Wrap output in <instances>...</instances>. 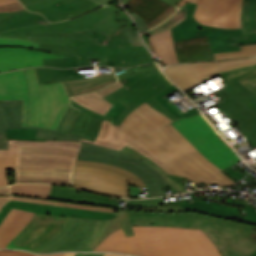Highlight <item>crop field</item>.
I'll return each mask as SVG.
<instances>
[{
	"mask_svg": "<svg viewBox=\"0 0 256 256\" xmlns=\"http://www.w3.org/2000/svg\"><path fill=\"white\" fill-rule=\"evenodd\" d=\"M17 148L9 145L8 150L0 149V186L9 185L6 169H15Z\"/></svg>",
	"mask_w": 256,
	"mask_h": 256,
	"instance_id": "obj_37",
	"label": "crop field"
},
{
	"mask_svg": "<svg viewBox=\"0 0 256 256\" xmlns=\"http://www.w3.org/2000/svg\"><path fill=\"white\" fill-rule=\"evenodd\" d=\"M52 185L15 184L11 187L12 194L37 198H49Z\"/></svg>",
	"mask_w": 256,
	"mask_h": 256,
	"instance_id": "obj_39",
	"label": "crop field"
},
{
	"mask_svg": "<svg viewBox=\"0 0 256 256\" xmlns=\"http://www.w3.org/2000/svg\"><path fill=\"white\" fill-rule=\"evenodd\" d=\"M0 99H23L21 126L53 129L70 105L62 82L39 85L34 68L0 74Z\"/></svg>",
	"mask_w": 256,
	"mask_h": 256,
	"instance_id": "obj_4",
	"label": "crop field"
},
{
	"mask_svg": "<svg viewBox=\"0 0 256 256\" xmlns=\"http://www.w3.org/2000/svg\"><path fill=\"white\" fill-rule=\"evenodd\" d=\"M216 92L224 100L216 105L239 126L251 145L256 147V94L237 80Z\"/></svg>",
	"mask_w": 256,
	"mask_h": 256,
	"instance_id": "obj_11",
	"label": "crop field"
},
{
	"mask_svg": "<svg viewBox=\"0 0 256 256\" xmlns=\"http://www.w3.org/2000/svg\"><path fill=\"white\" fill-rule=\"evenodd\" d=\"M0 256H34V255L26 252H22V251L0 250Z\"/></svg>",
	"mask_w": 256,
	"mask_h": 256,
	"instance_id": "obj_55",
	"label": "crop field"
},
{
	"mask_svg": "<svg viewBox=\"0 0 256 256\" xmlns=\"http://www.w3.org/2000/svg\"><path fill=\"white\" fill-rule=\"evenodd\" d=\"M18 208L34 213L47 214V215H56V216H75L83 218H95V219H110L115 216L113 213L91 211L63 206H55L41 203H33L26 201H16L9 200L8 203L0 211V223L9 212L10 208Z\"/></svg>",
	"mask_w": 256,
	"mask_h": 256,
	"instance_id": "obj_18",
	"label": "crop field"
},
{
	"mask_svg": "<svg viewBox=\"0 0 256 256\" xmlns=\"http://www.w3.org/2000/svg\"><path fill=\"white\" fill-rule=\"evenodd\" d=\"M77 159L114 164L133 172L147 185L151 197L166 195L162 188L170 187L165 177L157 173L144 160H137L121 152L83 142Z\"/></svg>",
	"mask_w": 256,
	"mask_h": 256,
	"instance_id": "obj_12",
	"label": "crop field"
},
{
	"mask_svg": "<svg viewBox=\"0 0 256 256\" xmlns=\"http://www.w3.org/2000/svg\"><path fill=\"white\" fill-rule=\"evenodd\" d=\"M120 81L125 86L104 97L113 104L119 101L128 106L118 117L117 126L121 124L133 109L141 105L144 101L166 114L169 118L175 120V118L153 97L165 88L173 85L159 68L142 72ZM154 86H156V88H154Z\"/></svg>",
	"mask_w": 256,
	"mask_h": 256,
	"instance_id": "obj_8",
	"label": "crop field"
},
{
	"mask_svg": "<svg viewBox=\"0 0 256 256\" xmlns=\"http://www.w3.org/2000/svg\"><path fill=\"white\" fill-rule=\"evenodd\" d=\"M121 151L129 154L132 157H135V158H138V159H144L157 172H159L161 175H164L166 177L167 182L171 185L172 188H174L179 193L185 192L184 189L180 186V184H178L177 182H175L172 179H170L169 177H167L166 175H168V174L163 169H161L158 165H156L154 162H152L150 159L140 155L139 153L133 151L132 149H130V148L126 147V146Z\"/></svg>",
	"mask_w": 256,
	"mask_h": 256,
	"instance_id": "obj_42",
	"label": "crop field"
},
{
	"mask_svg": "<svg viewBox=\"0 0 256 256\" xmlns=\"http://www.w3.org/2000/svg\"><path fill=\"white\" fill-rule=\"evenodd\" d=\"M167 116L147 103L132 111L115 128L128 134L162 160L175 175L187 177L195 184H235L208 161L169 122Z\"/></svg>",
	"mask_w": 256,
	"mask_h": 256,
	"instance_id": "obj_2",
	"label": "crop field"
},
{
	"mask_svg": "<svg viewBox=\"0 0 256 256\" xmlns=\"http://www.w3.org/2000/svg\"><path fill=\"white\" fill-rule=\"evenodd\" d=\"M171 124L221 170L240 161L200 113L181 118Z\"/></svg>",
	"mask_w": 256,
	"mask_h": 256,
	"instance_id": "obj_9",
	"label": "crop field"
},
{
	"mask_svg": "<svg viewBox=\"0 0 256 256\" xmlns=\"http://www.w3.org/2000/svg\"><path fill=\"white\" fill-rule=\"evenodd\" d=\"M113 81H116V76L111 75L107 77L100 78H90V79H79L74 81L63 82L68 95L73 96L80 93L88 92L95 90L99 87H102L106 84H109Z\"/></svg>",
	"mask_w": 256,
	"mask_h": 256,
	"instance_id": "obj_34",
	"label": "crop field"
},
{
	"mask_svg": "<svg viewBox=\"0 0 256 256\" xmlns=\"http://www.w3.org/2000/svg\"><path fill=\"white\" fill-rule=\"evenodd\" d=\"M94 1H97L103 5H108L112 0H94Z\"/></svg>",
	"mask_w": 256,
	"mask_h": 256,
	"instance_id": "obj_64",
	"label": "crop field"
},
{
	"mask_svg": "<svg viewBox=\"0 0 256 256\" xmlns=\"http://www.w3.org/2000/svg\"><path fill=\"white\" fill-rule=\"evenodd\" d=\"M133 17L135 18V21H136V24L140 30V32H144V31H147V28H146V24L144 22L143 19H141L140 17H138L136 14H132Z\"/></svg>",
	"mask_w": 256,
	"mask_h": 256,
	"instance_id": "obj_56",
	"label": "crop field"
},
{
	"mask_svg": "<svg viewBox=\"0 0 256 256\" xmlns=\"http://www.w3.org/2000/svg\"><path fill=\"white\" fill-rule=\"evenodd\" d=\"M101 123V118L86 114L81 111L70 133L81 135L84 136L85 139L94 141L99 132Z\"/></svg>",
	"mask_w": 256,
	"mask_h": 256,
	"instance_id": "obj_33",
	"label": "crop field"
},
{
	"mask_svg": "<svg viewBox=\"0 0 256 256\" xmlns=\"http://www.w3.org/2000/svg\"><path fill=\"white\" fill-rule=\"evenodd\" d=\"M128 210H142L153 212H181L186 211L181 206H162V198L147 200H130L126 205Z\"/></svg>",
	"mask_w": 256,
	"mask_h": 256,
	"instance_id": "obj_35",
	"label": "crop field"
},
{
	"mask_svg": "<svg viewBox=\"0 0 256 256\" xmlns=\"http://www.w3.org/2000/svg\"><path fill=\"white\" fill-rule=\"evenodd\" d=\"M10 194L9 187L0 188V195Z\"/></svg>",
	"mask_w": 256,
	"mask_h": 256,
	"instance_id": "obj_61",
	"label": "crop field"
},
{
	"mask_svg": "<svg viewBox=\"0 0 256 256\" xmlns=\"http://www.w3.org/2000/svg\"><path fill=\"white\" fill-rule=\"evenodd\" d=\"M122 86L124 85L120 81H118L110 86H107L99 90L86 93L80 96H76L70 99L76 101L80 105L90 110H93L99 114L104 115L111 108L113 104L105 100L103 97L117 90Z\"/></svg>",
	"mask_w": 256,
	"mask_h": 256,
	"instance_id": "obj_26",
	"label": "crop field"
},
{
	"mask_svg": "<svg viewBox=\"0 0 256 256\" xmlns=\"http://www.w3.org/2000/svg\"><path fill=\"white\" fill-rule=\"evenodd\" d=\"M62 57L47 52L19 47H0V72L43 66L42 58Z\"/></svg>",
	"mask_w": 256,
	"mask_h": 256,
	"instance_id": "obj_21",
	"label": "crop field"
},
{
	"mask_svg": "<svg viewBox=\"0 0 256 256\" xmlns=\"http://www.w3.org/2000/svg\"><path fill=\"white\" fill-rule=\"evenodd\" d=\"M33 215V213L12 208L0 225V248H5L9 241L24 228Z\"/></svg>",
	"mask_w": 256,
	"mask_h": 256,
	"instance_id": "obj_25",
	"label": "crop field"
},
{
	"mask_svg": "<svg viewBox=\"0 0 256 256\" xmlns=\"http://www.w3.org/2000/svg\"><path fill=\"white\" fill-rule=\"evenodd\" d=\"M7 147H8V142H7V139L5 138V135H0V148L7 149Z\"/></svg>",
	"mask_w": 256,
	"mask_h": 256,
	"instance_id": "obj_58",
	"label": "crop field"
},
{
	"mask_svg": "<svg viewBox=\"0 0 256 256\" xmlns=\"http://www.w3.org/2000/svg\"><path fill=\"white\" fill-rule=\"evenodd\" d=\"M22 100H0V134H5V128H37L36 137L46 139L80 140L81 136L59 133L55 130L39 127H21Z\"/></svg>",
	"mask_w": 256,
	"mask_h": 256,
	"instance_id": "obj_20",
	"label": "crop field"
},
{
	"mask_svg": "<svg viewBox=\"0 0 256 256\" xmlns=\"http://www.w3.org/2000/svg\"><path fill=\"white\" fill-rule=\"evenodd\" d=\"M177 9L174 7H170L167 11L162 13L160 16H158L155 20L147 24L148 29L160 24L161 22L165 21L171 14H173Z\"/></svg>",
	"mask_w": 256,
	"mask_h": 256,
	"instance_id": "obj_53",
	"label": "crop field"
},
{
	"mask_svg": "<svg viewBox=\"0 0 256 256\" xmlns=\"http://www.w3.org/2000/svg\"><path fill=\"white\" fill-rule=\"evenodd\" d=\"M35 69H36V73H37L40 84L85 78L83 73H79V70L77 68L53 69V68H47V67H38ZM111 74H114L113 70L111 71V73L99 74L96 77L107 76Z\"/></svg>",
	"mask_w": 256,
	"mask_h": 256,
	"instance_id": "obj_29",
	"label": "crop field"
},
{
	"mask_svg": "<svg viewBox=\"0 0 256 256\" xmlns=\"http://www.w3.org/2000/svg\"><path fill=\"white\" fill-rule=\"evenodd\" d=\"M185 18H186V6L180 8L170 19L166 20L158 27L148 31V33L151 36L160 32L167 31L173 28L178 23H180Z\"/></svg>",
	"mask_w": 256,
	"mask_h": 256,
	"instance_id": "obj_41",
	"label": "crop field"
},
{
	"mask_svg": "<svg viewBox=\"0 0 256 256\" xmlns=\"http://www.w3.org/2000/svg\"><path fill=\"white\" fill-rule=\"evenodd\" d=\"M127 106L117 102L112 106V108L105 114L111 118V121L116 124L117 117Z\"/></svg>",
	"mask_w": 256,
	"mask_h": 256,
	"instance_id": "obj_52",
	"label": "crop field"
},
{
	"mask_svg": "<svg viewBox=\"0 0 256 256\" xmlns=\"http://www.w3.org/2000/svg\"><path fill=\"white\" fill-rule=\"evenodd\" d=\"M101 5L90 0H45L25 7L41 12L49 21L68 19Z\"/></svg>",
	"mask_w": 256,
	"mask_h": 256,
	"instance_id": "obj_17",
	"label": "crop field"
},
{
	"mask_svg": "<svg viewBox=\"0 0 256 256\" xmlns=\"http://www.w3.org/2000/svg\"><path fill=\"white\" fill-rule=\"evenodd\" d=\"M38 45L39 43L28 40L0 37V46H19L37 50Z\"/></svg>",
	"mask_w": 256,
	"mask_h": 256,
	"instance_id": "obj_47",
	"label": "crop field"
},
{
	"mask_svg": "<svg viewBox=\"0 0 256 256\" xmlns=\"http://www.w3.org/2000/svg\"><path fill=\"white\" fill-rule=\"evenodd\" d=\"M242 211H245V213H243ZM241 215H242V219L233 220V221L256 226V208L248 204L246 208L242 207Z\"/></svg>",
	"mask_w": 256,
	"mask_h": 256,
	"instance_id": "obj_49",
	"label": "crop field"
},
{
	"mask_svg": "<svg viewBox=\"0 0 256 256\" xmlns=\"http://www.w3.org/2000/svg\"><path fill=\"white\" fill-rule=\"evenodd\" d=\"M19 145L16 183H57L70 185L82 142L47 140L46 142L8 139Z\"/></svg>",
	"mask_w": 256,
	"mask_h": 256,
	"instance_id": "obj_6",
	"label": "crop field"
},
{
	"mask_svg": "<svg viewBox=\"0 0 256 256\" xmlns=\"http://www.w3.org/2000/svg\"><path fill=\"white\" fill-rule=\"evenodd\" d=\"M251 63H256V57L220 62L179 64L168 66L165 71L183 90H186L206 81L203 78L219 71Z\"/></svg>",
	"mask_w": 256,
	"mask_h": 256,
	"instance_id": "obj_14",
	"label": "crop field"
},
{
	"mask_svg": "<svg viewBox=\"0 0 256 256\" xmlns=\"http://www.w3.org/2000/svg\"><path fill=\"white\" fill-rule=\"evenodd\" d=\"M123 1V4L125 5L129 0H122ZM169 4H171L172 6L175 7V4L179 1V0H163Z\"/></svg>",
	"mask_w": 256,
	"mask_h": 256,
	"instance_id": "obj_59",
	"label": "crop field"
},
{
	"mask_svg": "<svg viewBox=\"0 0 256 256\" xmlns=\"http://www.w3.org/2000/svg\"><path fill=\"white\" fill-rule=\"evenodd\" d=\"M97 220L71 217L64 230L47 243L38 253L62 250H83L87 245Z\"/></svg>",
	"mask_w": 256,
	"mask_h": 256,
	"instance_id": "obj_16",
	"label": "crop field"
},
{
	"mask_svg": "<svg viewBox=\"0 0 256 256\" xmlns=\"http://www.w3.org/2000/svg\"><path fill=\"white\" fill-rule=\"evenodd\" d=\"M73 106H75L74 104H72ZM76 107V106H75ZM78 108V107H77ZM88 113V112H87ZM89 114H91V113H89ZM92 115H94V114H92ZM95 116H97V115H95ZM99 117V116H98ZM102 118V117H101ZM105 119V118H104ZM106 120H109V119H106ZM110 121V120H109Z\"/></svg>",
	"mask_w": 256,
	"mask_h": 256,
	"instance_id": "obj_70",
	"label": "crop field"
},
{
	"mask_svg": "<svg viewBox=\"0 0 256 256\" xmlns=\"http://www.w3.org/2000/svg\"><path fill=\"white\" fill-rule=\"evenodd\" d=\"M111 254H106V255H104V256H110Z\"/></svg>",
	"mask_w": 256,
	"mask_h": 256,
	"instance_id": "obj_71",
	"label": "crop field"
},
{
	"mask_svg": "<svg viewBox=\"0 0 256 256\" xmlns=\"http://www.w3.org/2000/svg\"><path fill=\"white\" fill-rule=\"evenodd\" d=\"M132 225L176 226L203 230L222 256H250L256 251V227L198 212L152 213L129 211Z\"/></svg>",
	"mask_w": 256,
	"mask_h": 256,
	"instance_id": "obj_5",
	"label": "crop field"
},
{
	"mask_svg": "<svg viewBox=\"0 0 256 256\" xmlns=\"http://www.w3.org/2000/svg\"><path fill=\"white\" fill-rule=\"evenodd\" d=\"M214 55H215L216 60L256 56V44L248 45V46H241V51L216 53Z\"/></svg>",
	"mask_w": 256,
	"mask_h": 256,
	"instance_id": "obj_43",
	"label": "crop field"
},
{
	"mask_svg": "<svg viewBox=\"0 0 256 256\" xmlns=\"http://www.w3.org/2000/svg\"><path fill=\"white\" fill-rule=\"evenodd\" d=\"M149 39L152 47L164 64L170 65L178 63L170 30L151 36Z\"/></svg>",
	"mask_w": 256,
	"mask_h": 256,
	"instance_id": "obj_32",
	"label": "crop field"
},
{
	"mask_svg": "<svg viewBox=\"0 0 256 256\" xmlns=\"http://www.w3.org/2000/svg\"><path fill=\"white\" fill-rule=\"evenodd\" d=\"M25 9L20 2L0 5V11H13V10H21Z\"/></svg>",
	"mask_w": 256,
	"mask_h": 256,
	"instance_id": "obj_54",
	"label": "crop field"
},
{
	"mask_svg": "<svg viewBox=\"0 0 256 256\" xmlns=\"http://www.w3.org/2000/svg\"><path fill=\"white\" fill-rule=\"evenodd\" d=\"M191 196L194 198L196 202H192L190 204L183 205L182 207L188 211H198L208 215L233 220L239 219L240 216V209L241 207H229L224 206L222 204L216 202H209L207 204H202L192 193Z\"/></svg>",
	"mask_w": 256,
	"mask_h": 256,
	"instance_id": "obj_27",
	"label": "crop field"
},
{
	"mask_svg": "<svg viewBox=\"0 0 256 256\" xmlns=\"http://www.w3.org/2000/svg\"><path fill=\"white\" fill-rule=\"evenodd\" d=\"M18 0H0V4L17 2Z\"/></svg>",
	"mask_w": 256,
	"mask_h": 256,
	"instance_id": "obj_66",
	"label": "crop field"
},
{
	"mask_svg": "<svg viewBox=\"0 0 256 256\" xmlns=\"http://www.w3.org/2000/svg\"><path fill=\"white\" fill-rule=\"evenodd\" d=\"M38 49L48 51V52L58 53V54L74 55V56H78V51H79V47L45 45V44H40Z\"/></svg>",
	"mask_w": 256,
	"mask_h": 256,
	"instance_id": "obj_46",
	"label": "crop field"
},
{
	"mask_svg": "<svg viewBox=\"0 0 256 256\" xmlns=\"http://www.w3.org/2000/svg\"><path fill=\"white\" fill-rule=\"evenodd\" d=\"M111 256H126V255L112 254Z\"/></svg>",
	"mask_w": 256,
	"mask_h": 256,
	"instance_id": "obj_69",
	"label": "crop field"
},
{
	"mask_svg": "<svg viewBox=\"0 0 256 256\" xmlns=\"http://www.w3.org/2000/svg\"><path fill=\"white\" fill-rule=\"evenodd\" d=\"M45 22H47V20L42 15L26 10L0 12V31Z\"/></svg>",
	"mask_w": 256,
	"mask_h": 256,
	"instance_id": "obj_28",
	"label": "crop field"
},
{
	"mask_svg": "<svg viewBox=\"0 0 256 256\" xmlns=\"http://www.w3.org/2000/svg\"><path fill=\"white\" fill-rule=\"evenodd\" d=\"M70 218L35 214L25 228L10 241L6 248L35 252L56 237Z\"/></svg>",
	"mask_w": 256,
	"mask_h": 256,
	"instance_id": "obj_13",
	"label": "crop field"
},
{
	"mask_svg": "<svg viewBox=\"0 0 256 256\" xmlns=\"http://www.w3.org/2000/svg\"><path fill=\"white\" fill-rule=\"evenodd\" d=\"M132 227L135 236L126 237L121 228L107 236L94 251L140 256H221L212 241L201 230Z\"/></svg>",
	"mask_w": 256,
	"mask_h": 256,
	"instance_id": "obj_3",
	"label": "crop field"
},
{
	"mask_svg": "<svg viewBox=\"0 0 256 256\" xmlns=\"http://www.w3.org/2000/svg\"><path fill=\"white\" fill-rule=\"evenodd\" d=\"M121 227L127 236L134 235L128 218V210H119L113 219L98 220L92 237L84 250L92 251L107 235Z\"/></svg>",
	"mask_w": 256,
	"mask_h": 256,
	"instance_id": "obj_24",
	"label": "crop field"
},
{
	"mask_svg": "<svg viewBox=\"0 0 256 256\" xmlns=\"http://www.w3.org/2000/svg\"><path fill=\"white\" fill-rule=\"evenodd\" d=\"M198 4L194 17L198 22L221 28L240 27L241 0H192Z\"/></svg>",
	"mask_w": 256,
	"mask_h": 256,
	"instance_id": "obj_15",
	"label": "crop field"
},
{
	"mask_svg": "<svg viewBox=\"0 0 256 256\" xmlns=\"http://www.w3.org/2000/svg\"><path fill=\"white\" fill-rule=\"evenodd\" d=\"M243 34L256 31V0H243L241 5Z\"/></svg>",
	"mask_w": 256,
	"mask_h": 256,
	"instance_id": "obj_38",
	"label": "crop field"
},
{
	"mask_svg": "<svg viewBox=\"0 0 256 256\" xmlns=\"http://www.w3.org/2000/svg\"><path fill=\"white\" fill-rule=\"evenodd\" d=\"M224 82L227 84L235 79L239 80L256 93V64L240 66L219 72L215 75L205 78L206 80L220 74Z\"/></svg>",
	"mask_w": 256,
	"mask_h": 256,
	"instance_id": "obj_31",
	"label": "crop field"
},
{
	"mask_svg": "<svg viewBox=\"0 0 256 256\" xmlns=\"http://www.w3.org/2000/svg\"><path fill=\"white\" fill-rule=\"evenodd\" d=\"M177 91H178L183 97H185V96L175 87V85L172 86V87H170V88H168V89H166V90H164V91H162L161 93L157 94V95L154 96V97H155V98L173 115V116H175V115H176L177 117L191 116V115H193V114H195V113H198L199 111L194 108V109H192L191 112L180 115L179 109H178V107H177L175 104L171 103V102L168 101L167 99H162V96H163L164 94L169 93V92H170V93H175V92H177Z\"/></svg>",
	"mask_w": 256,
	"mask_h": 256,
	"instance_id": "obj_40",
	"label": "crop field"
},
{
	"mask_svg": "<svg viewBox=\"0 0 256 256\" xmlns=\"http://www.w3.org/2000/svg\"><path fill=\"white\" fill-rule=\"evenodd\" d=\"M148 37H149L148 34H146V35L143 36V38H144V40H145L147 46L150 48V50H151L152 53L154 54L156 60L159 61V62H162V61L160 60V58L157 56V54L155 53L154 49L151 47V45H150V43H149V40H148Z\"/></svg>",
	"mask_w": 256,
	"mask_h": 256,
	"instance_id": "obj_57",
	"label": "crop field"
},
{
	"mask_svg": "<svg viewBox=\"0 0 256 256\" xmlns=\"http://www.w3.org/2000/svg\"><path fill=\"white\" fill-rule=\"evenodd\" d=\"M65 253H59V254H52V255H44V256H62L64 255ZM36 256H39V255H36Z\"/></svg>",
	"mask_w": 256,
	"mask_h": 256,
	"instance_id": "obj_67",
	"label": "crop field"
},
{
	"mask_svg": "<svg viewBox=\"0 0 256 256\" xmlns=\"http://www.w3.org/2000/svg\"><path fill=\"white\" fill-rule=\"evenodd\" d=\"M191 0H181V2L177 5V7H181L185 4H187L188 2H190Z\"/></svg>",
	"mask_w": 256,
	"mask_h": 256,
	"instance_id": "obj_65",
	"label": "crop field"
},
{
	"mask_svg": "<svg viewBox=\"0 0 256 256\" xmlns=\"http://www.w3.org/2000/svg\"><path fill=\"white\" fill-rule=\"evenodd\" d=\"M251 256H256V252L253 255H251Z\"/></svg>",
	"mask_w": 256,
	"mask_h": 256,
	"instance_id": "obj_72",
	"label": "crop field"
},
{
	"mask_svg": "<svg viewBox=\"0 0 256 256\" xmlns=\"http://www.w3.org/2000/svg\"><path fill=\"white\" fill-rule=\"evenodd\" d=\"M195 8L196 4H187V19L171 29L174 41L208 35L213 53L240 50V45L256 43V32L242 35L241 28L221 29L201 25L193 17Z\"/></svg>",
	"mask_w": 256,
	"mask_h": 256,
	"instance_id": "obj_10",
	"label": "crop field"
},
{
	"mask_svg": "<svg viewBox=\"0 0 256 256\" xmlns=\"http://www.w3.org/2000/svg\"><path fill=\"white\" fill-rule=\"evenodd\" d=\"M104 254H93V253H77L74 256H103Z\"/></svg>",
	"mask_w": 256,
	"mask_h": 256,
	"instance_id": "obj_60",
	"label": "crop field"
},
{
	"mask_svg": "<svg viewBox=\"0 0 256 256\" xmlns=\"http://www.w3.org/2000/svg\"><path fill=\"white\" fill-rule=\"evenodd\" d=\"M71 102L74 103L76 106H78V107H80V108H82V109H84V110H86V111H88V112L97 114V113H95V112H93V111H90V110H88V109H86V108L80 106L79 104H77L76 102H74V101H72V100H71ZM97 115H99V114H97ZM100 116H102V115H100ZM102 117H105V116H102ZM105 118H107V117H105Z\"/></svg>",
	"mask_w": 256,
	"mask_h": 256,
	"instance_id": "obj_63",
	"label": "crop field"
},
{
	"mask_svg": "<svg viewBox=\"0 0 256 256\" xmlns=\"http://www.w3.org/2000/svg\"><path fill=\"white\" fill-rule=\"evenodd\" d=\"M49 199L62 200V201L80 203V204L122 208V207L113 205L117 200L116 198L107 197V196L83 191V190L72 188V187L58 186V185L52 186Z\"/></svg>",
	"mask_w": 256,
	"mask_h": 256,
	"instance_id": "obj_22",
	"label": "crop field"
},
{
	"mask_svg": "<svg viewBox=\"0 0 256 256\" xmlns=\"http://www.w3.org/2000/svg\"><path fill=\"white\" fill-rule=\"evenodd\" d=\"M23 5L34 3L41 0H19Z\"/></svg>",
	"mask_w": 256,
	"mask_h": 256,
	"instance_id": "obj_62",
	"label": "crop field"
},
{
	"mask_svg": "<svg viewBox=\"0 0 256 256\" xmlns=\"http://www.w3.org/2000/svg\"><path fill=\"white\" fill-rule=\"evenodd\" d=\"M72 186L117 197H128L127 184L145 186L139 177L114 165L76 161Z\"/></svg>",
	"mask_w": 256,
	"mask_h": 256,
	"instance_id": "obj_7",
	"label": "crop field"
},
{
	"mask_svg": "<svg viewBox=\"0 0 256 256\" xmlns=\"http://www.w3.org/2000/svg\"><path fill=\"white\" fill-rule=\"evenodd\" d=\"M84 142H89L98 146L107 147L112 150L120 151L125 145L133 150L147 156L152 161L162 167L168 174H172V171L157 157L146 150L137 141L124 134L122 131L115 129L109 121L103 119V123L99 132V135L95 142L82 139Z\"/></svg>",
	"mask_w": 256,
	"mask_h": 256,
	"instance_id": "obj_19",
	"label": "crop field"
},
{
	"mask_svg": "<svg viewBox=\"0 0 256 256\" xmlns=\"http://www.w3.org/2000/svg\"><path fill=\"white\" fill-rule=\"evenodd\" d=\"M9 199H16V200H26V201H33V202H41V203H48V204H55V205H63V206H70V207H77V208H84V209H91V210H99V211H106V212H113L116 213L119 209L114 208H106V207H98V206H88V205H80L62 201H53V200H45V199H37V198H30V197H23V196H0V210L6 204Z\"/></svg>",
	"mask_w": 256,
	"mask_h": 256,
	"instance_id": "obj_36",
	"label": "crop field"
},
{
	"mask_svg": "<svg viewBox=\"0 0 256 256\" xmlns=\"http://www.w3.org/2000/svg\"><path fill=\"white\" fill-rule=\"evenodd\" d=\"M122 10L114 5L99 7L73 19L10 30L0 36L80 46L79 66L90 65V60H100L102 66L118 67L155 62L145 47L132 46L122 32V28L133 25Z\"/></svg>",
	"mask_w": 256,
	"mask_h": 256,
	"instance_id": "obj_1",
	"label": "crop field"
},
{
	"mask_svg": "<svg viewBox=\"0 0 256 256\" xmlns=\"http://www.w3.org/2000/svg\"><path fill=\"white\" fill-rule=\"evenodd\" d=\"M126 5L131 6L132 12L149 23L171 5L161 0H130Z\"/></svg>",
	"mask_w": 256,
	"mask_h": 256,
	"instance_id": "obj_30",
	"label": "crop field"
},
{
	"mask_svg": "<svg viewBox=\"0 0 256 256\" xmlns=\"http://www.w3.org/2000/svg\"><path fill=\"white\" fill-rule=\"evenodd\" d=\"M156 67H158L157 64L141 65V66L132 67V68L123 70L121 72L116 73V75H117L118 79L120 80L124 77L131 76V75H134L136 73L146 71V70H149V69H153V68H156Z\"/></svg>",
	"mask_w": 256,
	"mask_h": 256,
	"instance_id": "obj_50",
	"label": "crop field"
},
{
	"mask_svg": "<svg viewBox=\"0 0 256 256\" xmlns=\"http://www.w3.org/2000/svg\"><path fill=\"white\" fill-rule=\"evenodd\" d=\"M123 32L125 33V35L128 37V39L130 40V42L132 43V45H141L144 46L142 41L140 40L137 31L133 26L128 27L123 29Z\"/></svg>",
	"mask_w": 256,
	"mask_h": 256,
	"instance_id": "obj_51",
	"label": "crop field"
},
{
	"mask_svg": "<svg viewBox=\"0 0 256 256\" xmlns=\"http://www.w3.org/2000/svg\"><path fill=\"white\" fill-rule=\"evenodd\" d=\"M44 66H54V67H76L78 66V59L74 57H62V58H49L43 59Z\"/></svg>",
	"mask_w": 256,
	"mask_h": 256,
	"instance_id": "obj_45",
	"label": "crop field"
},
{
	"mask_svg": "<svg viewBox=\"0 0 256 256\" xmlns=\"http://www.w3.org/2000/svg\"><path fill=\"white\" fill-rule=\"evenodd\" d=\"M178 62L215 60L207 36L174 43Z\"/></svg>",
	"mask_w": 256,
	"mask_h": 256,
	"instance_id": "obj_23",
	"label": "crop field"
},
{
	"mask_svg": "<svg viewBox=\"0 0 256 256\" xmlns=\"http://www.w3.org/2000/svg\"><path fill=\"white\" fill-rule=\"evenodd\" d=\"M36 129H6V137L14 139H26L45 141L46 139L35 138Z\"/></svg>",
	"mask_w": 256,
	"mask_h": 256,
	"instance_id": "obj_44",
	"label": "crop field"
},
{
	"mask_svg": "<svg viewBox=\"0 0 256 256\" xmlns=\"http://www.w3.org/2000/svg\"><path fill=\"white\" fill-rule=\"evenodd\" d=\"M79 112L80 110H77L70 106L57 131L68 133Z\"/></svg>",
	"mask_w": 256,
	"mask_h": 256,
	"instance_id": "obj_48",
	"label": "crop field"
},
{
	"mask_svg": "<svg viewBox=\"0 0 256 256\" xmlns=\"http://www.w3.org/2000/svg\"><path fill=\"white\" fill-rule=\"evenodd\" d=\"M74 254H76V253H67L64 256H73Z\"/></svg>",
	"mask_w": 256,
	"mask_h": 256,
	"instance_id": "obj_68",
	"label": "crop field"
}]
</instances>
